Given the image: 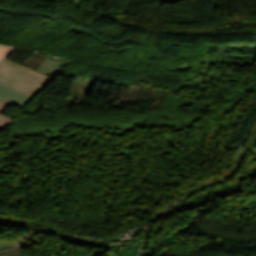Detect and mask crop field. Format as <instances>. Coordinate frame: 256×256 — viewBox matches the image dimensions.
Returning a JSON list of instances; mask_svg holds the SVG:
<instances>
[{"mask_svg":"<svg viewBox=\"0 0 256 256\" xmlns=\"http://www.w3.org/2000/svg\"><path fill=\"white\" fill-rule=\"evenodd\" d=\"M51 78L8 60L0 64V83L34 97Z\"/></svg>","mask_w":256,"mask_h":256,"instance_id":"8a807250","label":"crop field"},{"mask_svg":"<svg viewBox=\"0 0 256 256\" xmlns=\"http://www.w3.org/2000/svg\"><path fill=\"white\" fill-rule=\"evenodd\" d=\"M0 99L23 108L32 97L0 84Z\"/></svg>","mask_w":256,"mask_h":256,"instance_id":"ac0d7876","label":"crop field"},{"mask_svg":"<svg viewBox=\"0 0 256 256\" xmlns=\"http://www.w3.org/2000/svg\"><path fill=\"white\" fill-rule=\"evenodd\" d=\"M10 104L0 100V113L4 111ZM11 120V118L0 114V130Z\"/></svg>","mask_w":256,"mask_h":256,"instance_id":"34b2d1b8","label":"crop field"},{"mask_svg":"<svg viewBox=\"0 0 256 256\" xmlns=\"http://www.w3.org/2000/svg\"><path fill=\"white\" fill-rule=\"evenodd\" d=\"M13 49L11 48H5L0 46V61L8 55Z\"/></svg>","mask_w":256,"mask_h":256,"instance_id":"412701ff","label":"crop field"},{"mask_svg":"<svg viewBox=\"0 0 256 256\" xmlns=\"http://www.w3.org/2000/svg\"><path fill=\"white\" fill-rule=\"evenodd\" d=\"M121 244L119 245H110L109 247H119Z\"/></svg>","mask_w":256,"mask_h":256,"instance_id":"f4fd0767","label":"crop field"},{"mask_svg":"<svg viewBox=\"0 0 256 256\" xmlns=\"http://www.w3.org/2000/svg\"><path fill=\"white\" fill-rule=\"evenodd\" d=\"M123 241H130V238H129V239H125V240H123Z\"/></svg>","mask_w":256,"mask_h":256,"instance_id":"dd49c442","label":"crop field"}]
</instances>
